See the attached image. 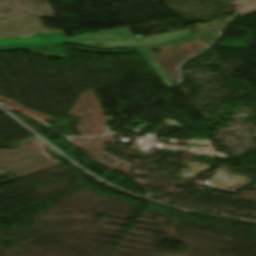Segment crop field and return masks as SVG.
I'll return each mask as SVG.
<instances>
[{"mask_svg":"<svg viewBox=\"0 0 256 256\" xmlns=\"http://www.w3.org/2000/svg\"><path fill=\"white\" fill-rule=\"evenodd\" d=\"M42 43H68L64 34L45 35L37 34L29 39H3L0 40V47L34 45Z\"/></svg>","mask_w":256,"mask_h":256,"instance_id":"obj_1","label":"crop field"},{"mask_svg":"<svg viewBox=\"0 0 256 256\" xmlns=\"http://www.w3.org/2000/svg\"><path fill=\"white\" fill-rule=\"evenodd\" d=\"M19 49H27L37 54L56 57V58H65L62 45H40V46H28V47L4 48V49H0V52L7 51V50H19Z\"/></svg>","mask_w":256,"mask_h":256,"instance_id":"obj_2","label":"crop field"},{"mask_svg":"<svg viewBox=\"0 0 256 256\" xmlns=\"http://www.w3.org/2000/svg\"><path fill=\"white\" fill-rule=\"evenodd\" d=\"M256 2V0H245V1H236V2H231L230 4L235 8H239V7H242V6H245V5H248V4H251V3H254ZM256 10V5H253V6H250V7H247L245 9H242V10H239L238 12L243 15L245 13H248V12H251V11H254Z\"/></svg>","mask_w":256,"mask_h":256,"instance_id":"obj_3","label":"crop field"}]
</instances>
